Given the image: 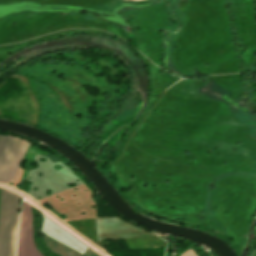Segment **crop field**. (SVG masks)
<instances>
[{
    "label": "crop field",
    "mask_w": 256,
    "mask_h": 256,
    "mask_svg": "<svg viewBox=\"0 0 256 256\" xmlns=\"http://www.w3.org/2000/svg\"><path fill=\"white\" fill-rule=\"evenodd\" d=\"M3 189L0 188V213ZM20 198L6 190L3 193L0 222V256H15Z\"/></svg>",
    "instance_id": "obj_1"
},
{
    "label": "crop field",
    "mask_w": 256,
    "mask_h": 256,
    "mask_svg": "<svg viewBox=\"0 0 256 256\" xmlns=\"http://www.w3.org/2000/svg\"><path fill=\"white\" fill-rule=\"evenodd\" d=\"M29 143L6 136L0 148V181H11L25 154Z\"/></svg>",
    "instance_id": "obj_2"
},
{
    "label": "crop field",
    "mask_w": 256,
    "mask_h": 256,
    "mask_svg": "<svg viewBox=\"0 0 256 256\" xmlns=\"http://www.w3.org/2000/svg\"><path fill=\"white\" fill-rule=\"evenodd\" d=\"M149 235H155V234L142 230L117 217L99 218L100 240L120 238V237L149 236Z\"/></svg>",
    "instance_id": "obj_3"
},
{
    "label": "crop field",
    "mask_w": 256,
    "mask_h": 256,
    "mask_svg": "<svg viewBox=\"0 0 256 256\" xmlns=\"http://www.w3.org/2000/svg\"><path fill=\"white\" fill-rule=\"evenodd\" d=\"M17 256H43L35 247L30 205L24 202L21 215Z\"/></svg>",
    "instance_id": "obj_4"
},
{
    "label": "crop field",
    "mask_w": 256,
    "mask_h": 256,
    "mask_svg": "<svg viewBox=\"0 0 256 256\" xmlns=\"http://www.w3.org/2000/svg\"><path fill=\"white\" fill-rule=\"evenodd\" d=\"M4 137H5V136L0 135V145H1V143H2V141H3V139H4Z\"/></svg>",
    "instance_id": "obj_5"
}]
</instances>
